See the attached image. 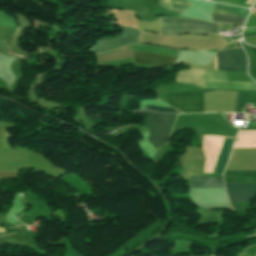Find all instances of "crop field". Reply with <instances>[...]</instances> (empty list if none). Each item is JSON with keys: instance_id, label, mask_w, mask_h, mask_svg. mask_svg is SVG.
Returning a JSON list of instances; mask_svg holds the SVG:
<instances>
[{"instance_id": "14", "label": "crop field", "mask_w": 256, "mask_h": 256, "mask_svg": "<svg viewBox=\"0 0 256 256\" xmlns=\"http://www.w3.org/2000/svg\"><path fill=\"white\" fill-rule=\"evenodd\" d=\"M239 1H242V2H244V3L246 2V0H239ZM251 1H252V0H248V1H247V4L250 5Z\"/></svg>"}, {"instance_id": "1", "label": "crop field", "mask_w": 256, "mask_h": 256, "mask_svg": "<svg viewBox=\"0 0 256 256\" xmlns=\"http://www.w3.org/2000/svg\"><path fill=\"white\" fill-rule=\"evenodd\" d=\"M175 81L206 89L256 91L255 82H228L225 71H206L192 68L180 71Z\"/></svg>"}, {"instance_id": "10", "label": "crop field", "mask_w": 256, "mask_h": 256, "mask_svg": "<svg viewBox=\"0 0 256 256\" xmlns=\"http://www.w3.org/2000/svg\"><path fill=\"white\" fill-rule=\"evenodd\" d=\"M228 138V137H226ZM234 139V138H230ZM226 139L224 142V145L222 147V150L220 152V155L218 157V160L216 162L215 171L214 173H222L226 159L228 157V154L231 150L232 144L234 140Z\"/></svg>"}, {"instance_id": "11", "label": "crop field", "mask_w": 256, "mask_h": 256, "mask_svg": "<svg viewBox=\"0 0 256 256\" xmlns=\"http://www.w3.org/2000/svg\"><path fill=\"white\" fill-rule=\"evenodd\" d=\"M190 5L191 3L185 0H168L164 8L179 16Z\"/></svg>"}, {"instance_id": "6", "label": "crop field", "mask_w": 256, "mask_h": 256, "mask_svg": "<svg viewBox=\"0 0 256 256\" xmlns=\"http://www.w3.org/2000/svg\"><path fill=\"white\" fill-rule=\"evenodd\" d=\"M218 70L246 71L245 56L242 49L217 53ZM215 57V70H217Z\"/></svg>"}, {"instance_id": "4", "label": "crop field", "mask_w": 256, "mask_h": 256, "mask_svg": "<svg viewBox=\"0 0 256 256\" xmlns=\"http://www.w3.org/2000/svg\"><path fill=\"white\" fill-rule=\"evenodd\" d=\"M170 106L184 112H203L202 92H179L168 94Z\"/></svg>"}, {"instance_id": "12", "label": "crop field", "mask_w": 256, "mask_h": 256, "mask_svg": "<svg viewBox=\"0 0 256 256\" xmlns=\"http://www.w3.org/2000/svg\"><path fill=\"white\" fill-rule=\"evenodd\" d=\"M213 21L214 22H224V23H230V24H236V25H243L244 18L240 17H234V16H227V15H221V14H215L212 13Z\"/></svg>"}, {"instance_id": "7", "label": "crop field", "mask_w": 256, "mask_h": 256, "mask_svg": "<svg viewBox=\"0 0 256 256\" xmlns=\"http://www.w3.org/2000/svg\"><path fill=\"white\" fill-rule=\"evenodd\" d=\"M134 57H135V63L157 66V67L173 65L176 59V57L174 56L154 54V53H148V52H139V51H134Z\"/></svg>"}, {"instance_id": "13", "label": "crop field", "mask_w": 256, "mask_h": 256, "mask_svg": "<svg viewBox=\"0 0 256 256\" xmlns=\"http://www.w3.org/2000/svg\"><path fill=\"white\" fill-rule=\"evenodd\" d=\"M145 109L152 110V111H158V112H166V113H180L173 108H162V107L151 106V105H146Z\"/></svg>"}, {"instance_id": "3", "label": "crop field", "mask_w": 256, "mask_h": 256, "mask_svg": "<svg viewBox=\"0 0 256 256\" xmlns=\"http://www.w3.org/2000/svg\"><path fill=\"white\" fill-rule=\"evenodd\" d=\"M134 112L146 115L145 123L149 130L147 140L156 149L160 147L165 142L177 115L158 114L148 111Z\"/></svg>"}, {"instance_id": "9", "label": "crop field", "mask_w": 256, "mask_h": 256, "mask_svg": "<svg viewBox=\"0 0 256 256\" xmlns=\"http://www.w3.org/2000/svg\"><path fill=\"white\" fill-rule=\"evenodd\" d=\"M189 183V188L224 189L222 178L191 176Z\"/></svg>"}, {"instance_id": "5", "label": "crop field", "mask_w": 256, "mask_h": 256, "mask_svg": "<svg viewBox=\"0 0 256 256\" xmlns=\"http://www.w3.org/2000/svg\"><path fill=\"white\" fill-rule=\"evenodd\" d=\"M120 28L123 32V36L120 39L97 41V45L91 50V52L101 53L122 46L124 44L141 43L144 34L143 32L123 26H120Z\"/></svg>"}, {"instance_id": "8", "label": "crop field", "mask_w": 256, "mask_h": 256, "mask_svg": "<svg viewBox=\"0 0 256 256\" xmlns=\"http://www.w3.org/2000/svg\"><path fill=\"white\" fill-rule=\"evenodd\" d=\"M230 201H250L256 196V185L225 183Z\"/></svg>"}, {"instance_id": "16", "label": "crop field", "mask_w": 256, "mask_h": 256, "mask_svg": "<svg viewBox=\"0 0 256 256\" xmlns=\"http://www.w3.org/2000/svg\"><path fill=\"white\" fill-rule=\"evenodd\" d=\"M256 3V2H255Z\"/></svg>"}, {"instance_id": "15", "label": "crop field", "mask_w": 256, "mask_h": 256, "mask_svg": "<svg viewBox=\"0 0 256 256\" xmlns=\"http://www.w3.org/2000/svg\"><path fill=\"white\" fill-rule=\"evenodd\" d=\"M1 230H2V229H1ZM1 230H0V232H1ZM2 232H6V231H5V228H3V231H2Z\"/></svg>"}, {"instance_id": "2", "label": "crop field", "mask_w": 256, "mask_h": 256, "mask_svg": "<svg viewBox=\"0 0 256 256\" xmlns=\"http://www.w3.org/2000/svg\"><path fill=\"white\" fill-rule=\"evenodd\" d=\"M162 34L177 35L183 32L199 34L218 33L219 24L206 23L201 20L182 18H162Z\"/></svg>"}]
</instances>
